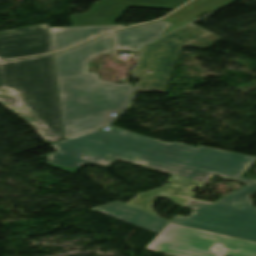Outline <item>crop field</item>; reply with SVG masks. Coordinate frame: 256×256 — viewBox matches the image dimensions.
Listing matches in <instances>:
<instances>
[{
	"instance_id": "crop-field-1",
	"label": "crop field",
	"mask_w": 256,
	"mask_h": 256,
	"mask_svg": "<svg viewBox=\"0 0 256 256\" xmlns=\"http://www.w3.org/2000/svg\"><path fill=\"white\" fill-rule=\"evenodd\" d=\"M254 159L199 146L169 179L172 185L139 194L127 205L115 202L94 210L159 234L170 221L154 214L151 206L156 196H163L193 210L189 217L176 215L171 222L256 241V209L249 198L256 192V180L240 177ZM213 174L242 181L247 186L213 204L190 199L194 195L192 188L201 186Z\"/></svg>"
},
{
	"instance_id": "crop-field-2",
	"label": "crop field",
	"mask_w": 256,
	"mask_h": 256,
	"mask_svg": "<svg viewBox=\"0 0 256 256\" xmlns=\"http://www.w3.org/2000/svg\"><path fill=\"white\" fill-rule=\"evenodd\" d=\"M110 33L72 50L54 55L65 138L106 126L129 101V84L100 81L88 73L87 63L100 53L112 51Z\"/></svg>"
},
{
	"instance_id": "crop-field-3",
	"label": "crop field",
	"mask_w": 256,
	"mask_h": 256,
	"mask_svg": "<svg viewBox=\"0 0 256 256\" xmlns=\"http://www.w3.org/2000/svg\"><path fill=\"white\" fill-rule=\"evenodd\" d=\"M51 146L57 152L48 154V164L71 174L86 164L107 168L121 160L173 175L196 149L114 127L106 131L96 129Z\"/></svg>"
},
{
	"instance_id": "crop-field-4",
	"label": "crop field",
	"mask_w": 256,
	"mask_h": 256,
	"mask_svg": "<svg viewBox=\"0 0 256 256\" xmlns=\"http://www.w3.org/2000/svg\"><path fill=\"white\" fill-rule=\"evenodd\" d=\"M0 103L18 113L48 143L63 138L52 55L0 62Z\"/></svg>"
},
{
	"instance_id": "crop-field-5",
	"label": "crop field",
	"mask_w": 256,
	"mask_h": 256,
	"mask_svg": "<svg viewBox=\"0 0 256 256\" xmlns=\"http://www.w3.org/2000/svg\"><path fill=\"white\" fill-rule=\"evenodd\" d=\"M220 39L191 23L144 47L138 70L134 73V78L140 80L138 91L164 90L181 46L207 49ZM146 70H152L153 73H147Z\"/></svg>"
},
{
	"instance_id": "crop-field-6",
	"label": "crop field",
	"mask_w": 256,
	"mask_h": 256,
	"mask_svg": "<svg viewBox=\"0 0 256 256\" xmlns=\"http://www.w3.org/2000/svg\"><path fill=\"white\" fill-rule=\"evenodd\" d=\"M146 248L174 256H256V242L174 223H168Z\"/></svg>"
},
{
	"instance_id": "crop-field-7",
	"label": "crop field",
	"mask_w": 256,
	"mask_h": 256,
	"mask_svg": "<svg viewBox=\"0 0 256 256\" xmlns=\"http://www.w3.org/2000/svg\"><path fill=\"white\" fill-rule=\"evenodd\" d=\"M188 0H102L89 13L71 15L73 26L114 25L127 6L174 10Z\"/></svg>"
},
{
	"instance_id": "crop-field-8",
	"label": "crop field",
	"mask_w": 256,
	"mask_h": 256,
	"mask_svg": "<svg viewBox=\"0 0 256 256\" xmlns=\"http://www.w3.org/2000/svg\"><path fill=\"white\" fill-rule=\"evenodd\" d=\"M52 52L49 26L0 31V59Z\"/></svg>"
},
{
	"instance_id": "crop-field-9",
	"label": "crop field",
	"mask_w": 256,
	"mask_h": 256,
	"mask_svg": "<svg viewBox=\"0 0 256 256\" xmlns=\"http://www.w3.org/2000/svg\"><path fill=\"white\" fill-rule=\"evenodd\" d=\"M172 24L167 21L114 32L116 49L138 51L141 46L164 34Z\"/></svg>"
},
{
	"instance_id": "crop-field-10",
	"label": "crop field",
	"mask_w": 256,
	"mask_h": 256,
	"mask_svg": "<svg viewBox=\"0 0 256 256\" xmlns=\"http://www.w3.org/2000/svg\"><path fill=\"white\" fill-rule=\"evenodd\" d=\"M123 27L118 26H93V27H61L50 28L53 52L72 46L76 43L91 38L103 31Z\"/></svg>"
},
{
	"instance_id": "crop-field-11",
	"label": "crop field",
	"mask_w": 256,
	"mask_h": 256,
	"mask_svg": "<svg viewBox=\"0 0 256 256\" xmlns=\"http://www.w3.org/2000/svg\"><path fill=\"white\" fill-rule=\"evenodd\" d=\"M232 1L234 0H206L199 5L192 7L189 12L183 14L177 21L172 22L173 25L169 28V30L167 29L168 31L165 34L197 19L203 13L213 11Z\"/></svg>"
},
{
	"instance_id": "crop-field-12",
	"label": "crop field",
	"mask_w": 256,
	"mask_h": 256,
	"mask_svg": "<svg viewBox=\"0 0 256 256\" xmlns=\"http://www.w3.org/2000/svg\"><path fill=\"white\" fill-rule=\"evenodd\" d=\"M200 0H194L191 3H189L188 5L184 6L183 8H181L180 10L176 11L175 13H173L172 15L168 16L165 19H175L177 18L182 12L188 10L189 6L199 2Z\"/></svg>"
}]
</instances>
